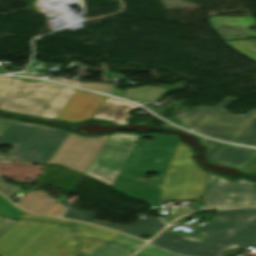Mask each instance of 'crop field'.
I'll list each match as a JSON object with an SVG mask.
<instances>
[{"instance_id": "8a807250", "label": "crop field", "mask_w": 256, "mask_h": 256, "mask_svg": "<svg viewBox=\"0 0 256 256\" xmlns=\"http://www.w3.org/2000/svg\"><path fill=\"white\" fill-rule=\"evenodd\" d=\"M151 243L188 256H220L227 248L236 253L233 247L256 244V207L217 211L207 226L188 237L165 230Z\"/></svg>"}, {"instance_id": "ac0d7876", "label": "crop field", "mask_w": 256, "mask_h": 256, "mask_svg": "<svg viewBox=\"0 0 256 256\" xmlns=\"http://www.w3.org/2000/svg\"><path fill=\"white\" fill-rule=\"evenodd\" d=\"M73 93L71 87L0 77V110L55 119Z\"/></svg>"}, {"instance_id": "34b2d1b8", "label": "crop field", "mask_w": 256, "mask_h": 256, "mask_svg": "<svg viewBox=\"0 0 256 256\" xmlns=\"http://www.w3.org/2000/svg\"><path fill=\"white\" fill-rule=\"evenodd\" d=\"M143 136L155 139L153 142L141 141ZM178 143L179 138L175 136H139L120 174L137 178L145 176L149 172H158L157 181L146 180L162 186L165 173Z\"/></svg>"}, {"instance_id": "412701ff", "label": "crop field", "mask_w": 256, "mask_h": 256, "mask_svg": "<svg viewBox=\"0 0 256 256\" xmlns=\"http://www.w3.org/2000/svg\"><path fill=\"white\" fill-rule=\"evenodd\" d=\"M191 154L179 143L165 176L162 200L201 201L206 172L194 165Z\"/></svg>"}, {"instance_id": "f4fd0767", "label": "crop field", "mask_w": 256, "mask_h": 256, "mask_svg": "<svg viewBox=\"0 0 256 256\" xmlns=\"http://www.w3.org/2000/svg\"><path fill=\"white\" fill-rule=\"evenodd\" d=\"M233 99L230 97L216 107L197 106L182 120L200 134L230 141L256 113V110L246 115L229 113L224 107ZM211 113L213 116L208 117Z\"/></svg>"}, {"instance_id": "dd49c442", "label": "crop field", "mask_w": 256, "mask_h": 256, "mask_svg": "<svg viewBox=\"0 0 256 256\" xmlns=\"http://www.w3.org/2000/svg\"><path fill=\"white\" fill-rule=\"evenodd\" d=\"M138 135L114 133L102 146L84 174L112 187Z\"/></svg>"}, {"instance_id": "e52e79f7", "label": "crop field", "mask_w": 256, "mask_h": 256, "mask_svg": "<svg viewBox=\"0 0 256 256\" xmlns=\"http://www.w3.org/2000/svg\"><path fill=\"white\" fill-rule=\"evenodd\" d=\"M216 176L207 175L204 186L205 209L222 207H232L241 205L256 204V189L254 183L240 180L237 183H230L219 178L215 184ZM225 196H235V199L225 198ZM224 201L227 203L225 204ZM215 204L217 206H215Z\"/></svg>"}, {"instance_id": "d8731c3e", "label": "crop field", "mask_w": 256, "mask_h": 256, "mask_svg": "<svg viewBox=\"0 0 256 256\" xmlns=\"http://www.w3.org/2000/svg\"><path fill=\"white\" fill-rule=\"evenodd\" d=\"M76 250L70 227L52 223L17 256H76Z\"/></svg>"}, {"instance_id": "5a996713", "label": "crop field", "mask_w": 256, "mask_h": 256, "mask_svg": "<svg viewBox=\"0 0 256 256\" xmlns=\"http://www.w3.org/2000/svg\"><path fill=\"white\" fill-rule=\"evenodd\" d=\"M107 137L84 138L70 133L46 164H63L84 173Z\"/></svg>"}, {"instance_id": "3316defc", "label": "crop field", "mask_w": 256, "mask_h": 256, "mask_svg": "<svg viewBox=\"0 0 256 256\" xmlns=\"http://www.w3.org/2000/svg\"><path fill=\"white\" fill-rule=\"evenodd\" d=\"M69 132L40 126L10 157L38 164H45Z\"/></svg>"}, {"instance_id": "28ad6ade", "label": "crop field", "mask_w": 256, "mask_h": 256, "mask_svg": "<svg viewBox=\"0 0 256 256\" xmlns=\"http://www.w3.org/2000/svg\"><path fill=\"white\" fill-rule=\"evenodd\" d=\"M50 224L33 220L16 222L0 237V255L16 256Z\"/></svg>"}, {"instance_id": "d1516ede", "label": "crop field", "mask_w": 256, "mask_h": 256, "mask_svg": "<svg viewBox=\"0 0 256 256\" xmlns=\"http://www.w3.org/2000/svg\"><path fill=\"white\" fill-rule=\"evenodd\" d=\"M105 98V96L76 90L62 108L56 120L80 122L89 119Z\"/></svg>"}, {"instance_id": "22f410ed", "label": "crop field", "mask_w": 256, "mask_h": 256, "mask_svg": "<svg viewBox=\"0 0 256 256\" xmlns=\"http://www.w3.org/2000/svg\"><path fill=\"white\" fill-rule=\"evenodd\" d=\"M82 215H85V217ZM63 217L73 218V219H78V220L98 224L101 226H105V227H108L111 229H115L118 231H122V232H125L128 234H131L134 236H137L141 233H145V234H149L152 232L157 233L159 230H161L163 227H165L160 220L155 219V218L145 219L142 221H138V222L126 225V226L115 225L110 222H96V221H94V217H95L94 214H92L90 212L70 208V207H68V209Z\"/></svg>"}, {"instance_id": "cbeb9de0", "label": "crop field", "mask_w": 256, "mask_h": 256, "mask_svg": "<svg viewBox=\"0 0 256 256\" xmlns=\"http://www.w3.org/2000/svg\"><path fill=\"white\" fill-rule=\"evenodd\" d=\"M38 127V125L14 121L0 137V145H10L14 147L12 151L6 153L5 156H0V162L9 164L12 159L8 157L11 156Z\"/></svg>"}, {"instance_id": "5142ce71", "label": "crop field", "mask_w": 256, "mask_h": 256, "mask_svg": "<svg viewBox=\"0 0 256 256\" xmlns=\"http://www.w3.org/2000/svg\"><path fill=\"white\" fill-rule=\"evenodd\" d=\"M138 108L137 106L127 103L125 101H117L115 99L107 97L95 115L93 119H105L112 121L119 125L126 124L125 119L129 117L126 112L130 109Z\"/></svg>"}, {"instance_id": "d9b57169", "label": "crop field", "mask_w": 256, "mask_h": 256, "mask_svg": "<svg viewBox=\"0 0 256 256\" xmlns=\"http://www.w3.org/2000/svg\"><path fill=\"white\" fill-rule=\"evenodd\" d=\"M256 155V150L227 144L211 162L241 168Z\"/></svg>"}, {"instance_id": "733c2abd", "label": "crop field", "mask_w": 256, "mask_h": 256, "mask_svg": "<svg viewBox=\"0 0 256 256\" xmlns=\"http://www.w3.org/2000/svg\"><path fill=\"white\" fill-rule=\"evenodd\" d=\"M41 191H34L32 194L26 193L18 206L35 213L44 214L55 202Z\"/></svg>"}, {"instance_id": "4a817a6b", "label": "crop field", "mask_w": 256, "mask_h": 256, "mask_svg": "<svg viewBox=\"0 0 256 256\" xmlns=\"http://www.w3.org/2000/svg\"><path fill=\"white\" fill-rule=\"evenodd\" d=\"M55 222L71 225L73 227V230L77 232L76 235L80 237H96L101 240L107 241L119 235V233L102 229L99 227L91 226L85 223H79V222H73V221H67V220H61V219H57Z\"/></svg>"}, {"instance_id": "bc2a9ffb", "label": "crop field", "mask_w": 256, "mask_h": 256, "mask_svg": "<svg viewBox=\"0 0 256 256\" xmlns=\"http://www.w3.org/2000/svg\"><path fill=\"white\" fill-rule=\"evenodd\" d=\"M164 91L165 89L145 86L142 88L126 90L125 95L122 97L138 103L154 102Z\"/></svg>"}, {"instance_id": "214f88e0", "label": "crop field", "mask_w": 256, "mask_h": 256, "mask_svg": "<svg viewBox=\"0 0 256 256\" xmlns=\"http://www.w3.org/2000/svg\"><path fill=\"white\" fill-rule=\"evenodd\" d=\"M131 254L133 253L118 245L105 242L81 256H130Z\"/></svg>"}, {"instance_id": "92a150f3", "label": "crop field", "mask_w": 256, "mask_h": 256, "mask_svg": "<svg viewBox=\"0 0 256 256\" xmlns=\"http://www.w3.org/2000/svg\"><path fill=\"white\" fill-rule=\"evenodd\" d=\"M231 141L256 145V114Z\"/></svg>"}, {"instance_id": "dafd665d", "label": "crop field", "mask_w": 256, "mask_h": 256, "mask_svg": "<svg viewBox=\"0 0 256 256\" xmlns=\"http://www.w3.org/2000/svg\"><path fill=\"white\" fill-rule=\"evenodd\" d=\"M51 79L61 81V82H64V83H68V84H72V85H76V86H80V87H84V88H89V89L105 92V93H108V91L112 87V85H110V84L79 83V82H75V81H71V80H67V79H63V78H59V77H54V78H51Z\"/></svg>"}, {"instance_id": "00972430", "label": "crop field", "mask_w": 256, "mask_h": 256, "mask_svg": "<svg viewBox=\"0 0 256 256\" xmlns=\"http://www.w3.org/2000/svg\"><path fill=\"white\" fill-rule=\"evenodd\" d=\"M109 242H114V243H118L121 244L123 246H125L126 248L130 249L131 251H136L140 246H142L145 242L134 239V238H130L124 235H119L111 240H109Z\"/></svg>"}, {"instance_id": "a9b5d70f", "label": "crop field", "mask_w": 256, "mask_h": 256, "mask_svg": "<svg viewBox=\"0 0 256 256\" xmlns=\"http://www.w3.org/2000/svg\"><path fill=\"white\" fill-rule=\"evenodd\" d=\"M0 210L14 218H20L24 213L22 210L14 207L10 202H8L4 197L0 195Z\"/></svg>"}, {"instance_id": "4177f3b9", "label": "crop field", "mask_w": 256, "mask_h": 256, "mask_svg": "<svg viewBox=\"0 0 256 256\" xmlns=\"http://www.w3.org/2000/svg\"><path fill=\"white\" fill-rule=\"evenodd\" d=\"M197 137L201 139L202 143L208 145L209 151L206 155V159L209 161L225 146V144H222V143H219L216 141L204 139L199 136H197Z\"/></svg>"}, {"instance_id": "730fd06b", "label": "crop field", "mask_w": 256, "mask_h": 256, "mask_svg": "<svg viewBox=\"0 0 256 256\" xmlns=\"http://www.w3.org/2000/svg\"><path fill=\"white\" fill-rule=\"evenodd\" d=\"M78 240L80 241V249H81L82 253H84V252L94 248L95 246L103 243V241L97 240V239L78 238Z\"/></svg>"}, {"instance_id": "eef30255", "label": "crop field", "mask_w": 256, "mask_h": 256, "mask_svg": "<svg viewBox=\"0 0 256 256\" xmlns=\"http://www.w3.org/2000/svg\"><path fill=\"white\" fill-rule=\"evenodd\" d=\"M3 184L5 183L1 182V179H0V192L6 196H9L12 193L16 192L17 190H19V188H16L7 184L6 186H4Z\"/></svg>"}, {"instance_id": "ae1a2a85", "label": "crop field", "mask_w": 256, "mask_h": 256, "mask_svg": "<svg viewBox=\"0 0 256 256\" xmlns=\"http://www.w3.org/2000/svg\"><path fill=\"white\" fill-rule=\"evenodd\" d=\"M15 223V221L6 218L2 221H0V236L7 230L9 229L13 224Z\"/></svg>"}, {"instance_id": "d3111659", "label": "crop field", "mask_w": 256, "mask_h": 256, "mask_svg": "<svg viewBox=\"0 0 256 256\" xmlns=\"http://www.w3.org/2000/svg\"><path fill=\"white\" fill-rule=\"evenodd\" d=\"M140 253L149 254L152 256H177V255L169 254L167 252L157 251V250H149V249H143L142 251H140Z\"/></svg>"}, {"instance_id": "750c4746", "label": "crop field", "mask_w": 256, "mask_h": 256, "mask_svg": "<svg viewBox=\"0 0 256 256\" xmlns=\"http://www.w3.org/2000/svg\"><path fill=\"white\" fill-rule=\"evenodd\" d=\"M12 120L0 118V136L10 126Z\"/></svg>"}, {"instance_id": "bd1437ed", "label": "crop field", "mask_w": 256, "mask_h": 256, "mask_svg": "<svg viewBox=\"0 0 256 256\" xmlns=\"http://www.w3.org/2000/svg\"><path fill=\"white\" fill-rule=\"evenodd\" d=\"M241 169H245L248 171H254L256 172V156L251 159L245 166H243Z\"/></svg>"}, {"instance_id": "1d83c4d3", "label": "crop field", "mask_w": 256, "mask_h": 256, "mask_svg": "<svg viewBox=\"0 0 256 256\" xmlns=\"http://www.w3.org/2000/svg\"><path fill=\"white\" fill-rule=\"evenodd\" d=\"M21 218H29V219H36V220H49V221L55 220V218L37 216V215L29 214V213L24 214Z\"/></svg>"}, {"instance_id": "120bbe31", "label": "crop field", "mask_w": 256, "mask_h": 256, "mask_svg": "<svg viewBox=\"0 0 256 256\" xmlns=\"http://www.w3.org/2000/svg\"><path fill=\"white\" fill-rule=\"evenodd\" d=\"M174 218H176V216H166V217L162 218V220H163V222H166V224H168L169 221Z\"/></svg>"}, {"instance_id": "d32e631a", "label": "crop field", "mask_w": 256, "mask_h": 256, "mask_svg": "<svg viewBox=\"0 0 256 256\" xmlns=\"http://www.w3.org/2000/svg\"><path fill=\"white\" fill-rule=\"evenodd\" d=\"M135 256H145V255H142V254H136Z\"/></svg>"}, {"instance_id": "5866460e", "label": "crop field", "mask_w": 256, "mask_h": 256, "mask_svg": "<svg viewBox=\"0 0 256 256\" xmlns=\"http://www.w3.org/2000/svg\"><path fill=\"white\" fill-rule=\"evenodd\" d=\"M1 217V216H0ZM1 218H4V217H1Z\"/></svg>"}, {"instance_id": "028f5c9d", "label": "crop field", "mask_w": 256, "mask_h": 256, "mask_svg": "<svg viewBox=\"0 0 256 256\" xmlns=\"http://www.w3.org/2000/svg\"><path fill=\"white\" fill-rule=\"evenodd\" d=\"M1 219V218H0Z\"/></svg>"}]
</instances>
